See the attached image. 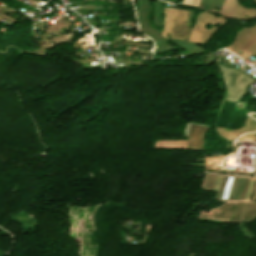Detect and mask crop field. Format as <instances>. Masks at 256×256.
<instances>
[{"mask_svg":"<svg viewBox=\"0 0 256 256\" xmlns=\"http://www.w3.org/2000/svg\"><path fill=\"white\" fill-rule=\"evenodd\" d=\"M218 66L222 71V79L227 90L225 100L236 104L244 96L246 86L253 80L234 69L226 68L220 64Z\"/></svg>","mask_w":256,"mask_h":256,"instance_id":"crop-field-1","label":"crop field"},{"mask_svg":"<svg viewBox=\"0 0 256 256\" xmlns=\"http://www.w3.org/2000/svg\"><path fill=\"white\" fill-rule=\"evenodd\" d=\"M163 8L164 20L161 35L167 38L168 33H170L171 37L183 39L186 29L188 10L181 8Z\"/></svg>","mask_w":256,"mask_h":256,"instance_id":"crop-field-2","label":"crop field"},{"mask_svg":"<svg viewBox=\"0 0 256 256\" xmlns=\"http://www.w3.org/2000/svg\"><path fill=\"white\" fill-rule=\"evenodd\" d=\"M243 203L244 202L237 203L236 208L234 207L235 203H226L222 206H219V207L215 208L214 211H213V215L230 217L231 213H232V210H233V207H234L235 212L233 210L234 216L232 214L233 220H232V217H231V220L232 221H239L241 211H242V207H243ZM211 215L212 214L201 213L199 217L210 219ZM255 216H256V202H245L240 221L250 220V219L254 218Z\"/></svg>","mask_w":256,"mask_h":256,"instance_id":"crop-field-3","label":"crop field"},{"mask_svg":"<svg viewBox=\"0 0 256 256\" xmlns=\"http://www.w3.org/2000/svg\"><path fill=\"white\" fill-rule=\"evenodd\" d=\"M227 178H228V177H223V178H222V182H221V186H220V187H225ZM231 179H232V178H230V177L228 178V182H227V186H226L224 195H223L224 188H220L219 191H218V194H217V197H216V198L221 199V198H222V195H223V198H222V199H226V198H227V194H228V190H229V187H230ZM235 179H236V178H233V179H232L231 187H230L229 194H228V198H227L228 200L230 199V196H231V192H232V189H233V186H234ZM244 180H245V179H241V178H237V179H236L235 186H234V189H233L232 196H231V199H230V200H239V199H240V195H241V191H242V188H243ZM255 181H256V180H255ZM255 181H254V184H253V187H252V190H251V193H250V196H249V199H248V200L251 199V195H252V192H253V188H254V185H255Z\"/></svg>","mask_w":256,"mask_h":256,"instance_id":"crop-field-4","label":"crop field"},{"mask_svg":"<svg viewBox=\"0 0 256 256\" xmlns=\"http://www.w3.org/2000/svg\"><path fill=\"white\" fill-rule=\"evenodd\" d=\"M198 0H182L181 4L195 7Z\"/></svg>","mask_w":256,"mask_h":256,"instance_id":"crop-field-5","label":"crop field"},{"mask_svg":"<svg viewBox=\"0 0 256 256\" xmlns=\"http://www.w3.org/2000/svg\"><path fill=\"white\" fill-rule=\"evenodd\" d=\"M254 198L256 199V192H255V194H254Z\"/></svg>","mask_w":256,"mask_h":256,"instance_id":"crop-field-6","label":"crop field"}]
</instances>
